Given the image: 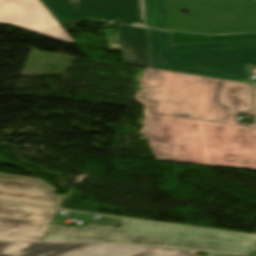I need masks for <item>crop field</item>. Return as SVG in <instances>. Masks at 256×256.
<instances>
[{
    "instance_id": "1",
    "label": "crop field",
    "mask_w": 256,
    "mask_h": 256,
    "mask_svg": "<svg viewBox=\"0 0 256 256\" xmlns=\"http://www.w3.org/2000/svg\"><path fill=\"white\" fill-rule=\"evenodd\" d=\"M226 85L249 84L144 69L136 101L144 105L140 134L157 160L256 170V128L234 126L235 112L221 100ZM179 114L186 119H177Z\"/></svg>"
},
{
    "instance_id": "2",
    "label": "crop field",
    "mask_w": 256,
    "mask_h": 256,
    "mask_svg": "<svg viewBox=\"0 0 256 256\" xmlns=\"http://www.w3.org/2000/svg\"><path fill=\"white\" fill-rule=\"evenodd\" d=\"M118 30L123 64L254 83L247 67L256 64V41L171 45L170 31Z\"/></svg>"
},
{
    "instance_id": "3",
    "label": "crop field",
    "mask_w": 256,
    "mask_h": 256,
    "mask_svg": "<svg viewBox=\"0 0 256 256\" xmlns=\"http://www.w3.org/2000/svg\"><path fill=\"white\" fill-rule=\"evenodd\" d=\"M42 241L116 242L238 256H247L256 248L254 236L127 219L120 228L91 224L75 229L51 225Z\"/></svg>"
},
{
    "instance_id": "4",
    "label": "crop field",
    "mask_w": 256,
    "mask_h": 256,
    "mask_svg": "<svg viewBox=\"0 0 256 256\" xmlns=\"http://www.w3.org/2000/svg\"><path fill=\"white\" fill-rule=\"evenodd\" d=\"M171 29L204 34L256 32L254 0H167ZM181 9L190 13L185 15Z\"/></svg>"
},
{
    "instance_id": "5",
    "label": "crop field",
    "mask_w": 256,
    "mask_h": 256,
    "mask_svg": "<svg viewBox=\"0 0 256 256\" xmlns=\"http://www.w3.org/2000/svg\"><path fill=\"white\" fill-rule=\"evenodd\" d=\"M59 24L80 19H118L170 29L166 0H75L77 12L67 0H39Z\"/></svg>"
},
{
    "instance_id": "6",
    "label": "crop field",
    "mask_w": 256,
    "mask_h": 256,
    "mask_svg": "<svg viewBox=\"0 0 256 256\" xmlns=\"http://www.w3.org/2000/svg\"><path fill=\"white\" fill-rule=\"evenodd\" d=\"M0 24L75 44L38 0H0Z\"/></svg>"
},
{
    "instance_id": "7",
    "label": "crop field",
    "mask_w": 256,
    "mask_h": 256,
    "mask_svg": "<svg viewBox=\"0 0 256 256\" xmlns=\"http://www.w3.org/2000/svg\"><path fill=\"white\" fill-rule=\"evenodd\" d=\"M55 210L1 203L0 241H37Z\"/></svg>"
},
{
    "instance_id": "8",
    "label": "crop field",
    "mask_w": 256,
    "mask_h": 256,
    "mask_svg": "<svg viewBox=\"0 0 256 256\" xmlns=\"http://www.w3.org/2000/svg\"><path fill=\"white\" fill-rule=\"evenodd\" d=\"M54 190L41 180L0 174V201L55 208L63 196Z\"/></svg>"
},
{
    "instance_id": "9",
    "label": "crop field",
    "mask_w": 256,
    "mask_h": 256,
    "mask_svg": "<svg viewBox=\"0 0 256 256\" xmlns=\"http://www.w3.org/2000/svg\"><path fill=\"white\" fill-rule=\"evenodd\" d=\"M101 243L90 242H38L0 256H67Z\"/></svg>"
},
{
    "instance_id": "10",
    "label": "crop field",
    "mask_w": 256,
    "mask_h": 256,
    "mask_svg": "<svg viewBox=\"0 0 256 256\" xmlns=\"http://www.w3.org/2000/svg\"><path fill=\"white\" fill-rule=\"evenodd\" d=\"M148 249L151 247L104 243L70 256H132Z\"/></svg>"
},
{
    "instance_id": "11",
    "label": "crop field",
    "mask_w": 256,
    "mask_h": 256,
    "mask_svg": "<svg viewBox=\"0 0 256 256\" xmlns=\"http://www.w3.org/2000/svg\"><path fill=\"white\" fill-rule=\"evenodd\" d=\"M171 37H172V44L256 40V34L208 36V35H196L192 33L174 32V31H171Z\"/></svg>"
},
{
    "instance_id": "12",
    "label": "crop field",
    "mask_w": 256,
    "mask_h": 256,
    "mask_svg": "<svg viewBox=\"0 0 256 256\" xmlns=\"http://www.w3.org/2000/svg\"><path fill=\"white\" fill-rule=\"evenodd\" d=\"M230 91H236L232 94ZM235 111H243L252 108L249 89L227 86L223 98Z\"/></svg>"
},
{
    "instance_id": "13",
    "label": "crop field",
    "mask_w": 256,
    "mask_h": 256,
    "mask_svg": "<svg viewBox=\"0 0 256 256\" xmlns=\"http://www.w3.org/2000/svg\"><path fill=\"white\" fill-rule=\"evenodd\" d=\"M135 256H196L189 251L176 249L154 248Z\"/></svg>"
},
{
    "instance_id": "14",
    "label": "crop field",
    "mask_w": 256,
    "mask_h": 256,
    "mask_svg": "<svg viewBox=\"0 0 256 256\" xmlns=\"http://www.w3.org/2000/svg\"><path fill=\"white\" fill-rule=\"evenodd\" d=\"M36 242H0V254L34 244Z\"/></svg>"
},
{
    "instance_id": "15",
    "label": "crop field",
    "mask_w": 256,
    "mask_h": 256,
    "mask_svg": "<svg viewBox=\"0 0 256 256\" xmlns=\"http://www.w3.org/2000/svg\"><path fill=\"white\" fill-rule=\"evenodd\" d=\"M254 100H255V108H256V86H253Z\"/></svg>"
},
{
    "instance_id": "16",
    "label": "crop field",
    "mask_w": 256,
    "mask_h": 256,
    "mask_svg": "<svg viewBox=\"0 0 256 256\" xmlns=\"http://www.w3.org/2000/svg\"><path fill=\"white\" fill-rule=\"evenodd\" d=\"M68 1H70V0H68ZM72 1H74V0H72ZM73 7H74V9L76 10V8H75V1H74V3H70Z\"/></svg>"
},
{
    "instance_id": "17",
    "label": "crop field",
    "mask_w": 256,
    "mask_h": 256,
    "mask_svg": "<svg viewBox=\"0 0 256 256\" xmlns=\"http://www.w3.org/2000/svg\"><path fill=\"white\" fill-rule=\"evenodd\" d=\"M132 25H138V26H144V27H146L145 25H139V24H132Z\"/></svg>"
},
{
    "instance_id": "18",
    "label": "crop field",
    "mask_w": 256,
    "mask_h": 256,
    "mask_svg": "<svg viewBox=\"0 0 256 256\" xmlns=\"http://www.w3.org/2000/svg\"><path fill=\"white\" fill-rule=\"evenodd\" d=\"M251 256H256V251Z\"/></svg>"
},
{
    "instance_id": "19",
    "label": "crop field",
    "mask_w": 256,
    "mask_h": 256,
    "mask_svg": "<svg viewBox=\"0 0 256 256\" xmlns=\"http://www.w3.org/2000/svg\"><path fill=\"white\" fill-rule=\"evenodd\" d=\"M238 125H241V126H248V125H242V124H238Z\"/></svg>"
}]
</instances>
